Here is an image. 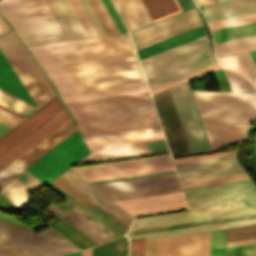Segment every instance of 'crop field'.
Wrapping results in <instances>:
<instances>
[{
    "mask_svg": "<svg viewBox=\"0 0 256 256\" xmlns=\"http://www.w3.org/2000/svg\"><path fill=\"white\" fill-rule=\"evenodd\" d=\"M29 48L59 93L145 81L128 33Z\"/></svg>",
    "mask_w": 256,
    "mask_h": 256,
    "instance_id": "1",
    "label": "crop field"
},
{
    "mask_svg": "<svg viewBox=\"0 0 256 256\" xmlns=\"http://www.w3.org/2000/svg\"><path fill=\"white\" fill-rule=\"evenodd\" d=\"M66 106L83 137L160 126L148 92Z\"/></svg>",
    "mask_w": 256,
    "mask_h": 256,
    "instance_id": "2",
    "label": "crop field"
},
{
    "mask_svg": "<svg viewBox=\"0 0 256 256\" xmlns=\"http://www.w3.org/2000/svg\"><path fill=\"white\" fill-rule=\"evenodd\" d=\"M0 88L37 107L56 95L12 32L0 37Z\"/></svg>",
    "mask_w": 256,
    "mask_h": 256,
    "instance_id": "3",
    "label": "crop field"
},
{
    "mask_svg": "<svg viewBox=\"0 0 256 256\" xmlns=\"http://www.w3.org/2000/svg\"><path fill=\"white\" fill-rule=\"evenodd\" d=\"M140 62L150 89L216 64L206 36Z\"/></svg>",
    "mask_w": 256,
    "mask_h": 256,
    "instance_id": "4",
    "label": "crop field"
},
{
    "mask_svg": "<svg viewBox=\"0 0 256 256\" xmlns=\"http://www.w3.org/2000/svg\"><path fill=\"white\" fill-rule=\"evenodd\" d=\"M191 212L138 218L130 230L256 212V191L187 201Z\"/></svg>",
    "mask_w": 256,
    "mask_h": 256,
    "instance_id": "5",
    "label": "crop field"
},
{
    "mask_svg": "<svg viewBox=\"0 0 256 256\" xmlns=\"http://www.w3.org/2000/svg\"><path fill=\"white\" fill-rule=\"evenodd\" d=\"M203 122L250 123L256 118V95L192 91Z\"/></svg>",
    "mask_w": 256,
    "mask_h": 256,
    "instance_id": "6",
    "label": "crop field"
},
{
    "mask_svg": "<svg viewBox=\"0 0 256 256\" xmlns=\"http://www.w3.org/2000/svg\"><path fill=\"white\" fill-rule=\"evenodd\" d=\"M31 230L0 219V246L29 256H57L78 250L50 228L38 235Z\"/></svg>",
    "mask_w": 256,
    "mask_h": 256,
    "instance_id": "7",
    "label": "crop field"
},
{
    "mask_svg": "<svg viewBox=\"0 0 256 256\" xmlns=\"http://www.w3.org/2000/svg\"><path fill=\"white\" fill-rule=\"evenodd\" d=\"M87 153L76 131L26 170L47 184Z\"/></svg>",
    "mask_w": 256,
    "mask_h": 256,
    "instance_id": "8",
    "label": "crop field"
},
{
    "mask_svg": "<svg viewBox=\"0 0 256 256\" xmlns=\"http://www.w3.org/2000/svg\"><path fill=\"white\" fill-rule=\"evenodd\" d=\"M93 186L112 201L182 191L176 174Z\"/></svg>",
    "mask_w": 256,
    "mask_h": 256,
    "instance_id": "9",
    "label": "crop field"
},
{
    "mask_svg": "<svg viewBox=\"0 0 256 256\" xmlns=\"http://www.w3.org/2000/svg\"><path fill=\"white\" fill-rule=\"evenodd\" d=\"M199 17L192 9L169 19L131 33L136 49L146 47L169 37L201 26Z\"/></svg>",
    "mask_w": 256,
    "mask_h": 256,
    "instance_id": "10",
    "label": "crop field"
},
{
    "mask_svg": "<svg viewBox=\"0 0 256 256\" xmlns=\"http://www.w3.org/2000/svg\"><path fill=\"white\" fill-rule=\"evenodd\" d=\"M170 91L191 152L210 151L187 83Z\"/></svg>",
    "mask_w": 256,
    "mask_h": 256,
    "instance_id": "11",
    "label": "crop field"
},
{
    "mask_svg": "<svg viewBox=\"0 0 256 256\" xmlns=\"http://www.w3.org/2000/svg\"><path fill=\"white\" fill-rule=\"evenodd\" d=\"M0 10L17 32L59 27L46 1L0 7Z\"/></svg>",
    "mask_w": 256,
    "mask_h": 256,
    "instance_id": "12",
    "label": "crop field"
},
{
    "mask_svg": "<svg viewBox=\"0 0 256 256\" xmlns=\"http://www.w3.org/2000/svg\"><path fill=\"white\" fill-rule=\"evenodd\" d=\"M63 109L55 97L2 136L0 138V157Z\"/></svg>",
    "mask_w": 256,
    "mask_h": 256,
    "instance_id": "13",
    "label": "crop field"
},
{
    "mask_svg": "<svg viewBox=\"0 0 256 256\" xmlns=\"http://www.w3.org/2000/svg\"><path fill=\"white\" fill-rule=\"evenodd\" d=\"M75 131L76 130L70 120L5 170H3L0 173V187L5 185Z\"/></svg>",
    "mask_w": 256,
    "mask_h": 256,
    "instance_id": "14",
    "label": "crop field"
},
{
    "mask_svg": "<svg viewBox=\"0 0 256 256\" xmlns=\"http://www.w3.org/2000/svg\"><path fill=\"white\" fill-rule=\"evenodd\" d=\"M157 256H209V232L157 238Z\"/></svg>",
    "mask_w": 256,
    "mask_h": 256,
    "instance_id": "15",
    "label": "crop field"
},
{
    "mask_svg": "<svg viewBox=\"0 0 256 256\" xmlns=\"http://www.w3.org/2000/svg\"><path fill=\"white\" fill-rule=\"evenodd\" d=\"M115 203L133 216L188 209L182 192Z\"/></svg>",
    "mask_w": 256,
    "mask_h": 256,
    "instance_id": "16",
    "label": "crop field"
},
{
    "mask_svg": "<svg viewBox=\"0 0 256 256\" xmlns=\"http://www.w3.org/2000/svg\"><path fill=\"white\" fill-rule=\"evenodd\" d=\"M175 165L181 180L242 172L234 156Z\"/></svg>",
    "mask_w": 256,
    "mask_h": 256,
    "instance_id": "17",
    "label": "crop field"
},
{
    "mask_svg": "<svg viewBox=\"0 0 256 256\" xmlns=\"http://www.w3.org/2000/svg\"><path fill=\"white\" fill-rule=\"evenodd\" d=\"M69 119L65 110L61 111L39 129H37L34 133L12 148L9 152L3 155L0 158V171L66 123Z\"/></svg>",
    "mask_w": 256,
    "mask_h": 256,
    "instance_id": "18",
    "label": "crop field"
},
{
    "mask_svg": "<svg viewBox=\"0 0 256 256\" xmlns=\"http://www.w3.org/2000/svg\"><path fill=\"white\" fill-rule=\"evenodd\" d=\"M173 164L169 155L71 169L81 177Z\"/></svg>",
    "mask_w": 256,
    "mask_h": 256,
    "instance_id": "19",
    "label": "crop field"
},
{
    "mask_svg": "<svg viewBox=\"0 0 256 256\" xmlns=\"http://www.w3.org/2000/svg\"><path fill=\"white\" fill-rule=\"evenodd\" d=\"M91 154L76 165L131 158L153 154L145 142L91 150ZM75 165V166H76Z\"/></svg>",
    "mask_w": 256,
    "mask_h": 256,
    "instance_id": "20",
    "label": "crop field"
},
{
    "mask_svg": "<svg viewBox=\"0 0 256 256\" xmlns=\"http://www.w3.org/2000/svg\"><path fill=\"white\" fill-rule=\"evenodd\" d=\"M145 82L60 94L64 103L145 92Z\"/></svg>",
    "mask_w": 256,
    "mask_h": 256,
    "instance_id": "21",
    "label": "crop field"
},
{
    "mask_svg": "<svg viewBox=\"0 0 256 256\" xmlns=\"http://www.w3.org/2000/svg\"><path fill=\"white\" fill-rule=\"evenodd\" d=\"M201 12L207 22L256 13V0H235L204 6Z\"/></svg>",
    "mask_w": 256,
    "mask_h": 256,
    "instance_id": "22",
    "label": "crop field"
},
{
    "mask_svg": "<svg viewBox=\"0 0 256 256\" xmlns=\"http://www.w3.org/2000/svg\"><path fill=\"white\" fill-rule=\"evenodd\" d=\"M183 190H184L186 199L190 200V199H197V198H204V197H211V196H218V195L254 191L256 190V188L254 187V185L250 180H246V181L223 183V184H216V185H209V186L186 188Z\"/></svg>",
    "mask_w": 256,
    "mask_h": 256,
    "instance_id": "23",
    "label": "crop field"
},
{
    "mask_svg": "<svg viewBox=\"0 0 256 256\" xmlns=\"http://www.w3.org/2000/svg\"><path fill=\"white\" fill-rule=\"evenodd\" d=\"M69 39L88 37L68 0H48Z\"/></svg>",
    "mask_w": 256,
    "mask_h": 256,
    "instance_id": "24",
    "label": "crop field"
},
{
    "mask_svg": "<svg viewBox=\"0 0 256 256\" xmlns=\"http://www.w3.org/2000/svg\"><path fill=\"white\" fill-rule=\"evenodd\" d=\"M211 148L240 140L248 124L203 123Z\"/></svg>",
    "mask_w": 256,
    "mask_h": 256,
    "instance_id": "25",
    "label": "crop field"
},
{
    "mask_svg": "<svg viewBox=\"0 0 256 256\" xmlns=\"http://www.w3.org/2000/svg\"><path fill=\"white\" fill-rule=\"evenodd\" d=\"M161 138H164L162 131L158 130V131L123 135V136L88 140V141H86V143H87L89 149H93V148L107 147V146H113V145L161 139Z\"/></svg>",
    "mask_w": 256,
    "mask_h": 256,
    "instance_id": "26",
    "label": "crop field"
},
{
    "mask_svg": "<svg viewBox=\"0 0 256 256\" xmlns=\"http://www.w3.org/2000/svg\"><path fill=\"white\" fill-rule=\"evenodd\" d=\"M205 35L203 26L193 29L191 31L185 32L183 34L177 35L170 39L164 40L162 42L156 43L154 45L148 46L146 48L138 50L139 59H143L159 53L161 51L167 50L179 44L185 43L197 37Z\"/></svg>",
    "mask_w": 256,
    "mask_h": 256,
    "instance_id": "27",
    "label": "crop field"
},
{
    "mask_svg": "<svg viewBox=\"0 0 256 256\" xmlns=\"http://www.w3.org/2000/svg\"><path fill=\"white\" fill-rule=\"evenodd\" d=\"M254 223H256V218L224 222V223L209 224V225H202V226H195V227H188V228L166 230V231H159V232H152V233L130 235V236H128V238L141 237V236L151 237V236L192 233V232L216 230V229H223V228H231V227L249 225V224H254Z\"/></svg>",
    "mask_w": 256,
    "mask_h": 256,
    "instance_id": "28",
    "label": "crop field"
},
{
    "mask_svg": "<svg viewBox=\"0 0 256 256\" xmlns=\"http://www.w3.org/2000/svg\"><path fill=\"white\" fill-rule=\"evenodd\" d=\"M62 175H64L66 178H68L70 181H72L74 184H76L78 187H80L82 190H84L86 193H88L90 196H92L94 199H96L98 202H100L102 205H104L126 223H128L129 225L131 224L133 220L131 216H129L127 213H125L123 210L113 204L110 200H108L106 197H104L102 194L92 188L89 184H87L73 172L67 170Z\"/></svg>",
    "mask_w": 256,
    "mask_h": 256,
    "instance_id": "29",
    "label": "crop field"
},
{
    "mask_svg": "<svg viewBox=\"0 0 256 256\" xmlns=\"http://www.w3.org/2000/svg\"><path fill=\"white\" fill-rule=\"evenodd\" d=\"M128 30L146 25L144 18L133 0H113Z\"/></svg>",
    "mask_w": 256,
    "mask_h": 256,
    "instance_id": "30",
    "label": "crop field"
},
{
    "mask_svg": "<svg viewBox=\"0 0 256 256\" xmlns=\"http://www.w3.org/2000/svg\"><path fill=\"white\" fill-rule=\"evenodd\" d=\"M153 22L181 12L176 0H141Z\"/></svg>",
    "mask_w": 256,
    "mask_h": 256,
    "instance_id": "31",
    "label": "crop field"
},
{
    "mask_svg": "<svg viewBox=\"0 0 256 256\" xmlns=\"http://www.w3.org/2000/svg\"><path fill=\"white\" fill-rule=\"evenodd\" d=\"M217 57L256 50V36L214 44Z\"/></svg>",
    "mask_w": 256,
    "mask_h": 256,
    "instance_id": "32",
    "label": "crop field"
},
{
    "mask_svg": "<svg viewBox=\"0 0 256 256\" xmlns=\"http://www.w3.org/2000/svg\"><path fill=\"white\" fill-rule=\"evenodd\" d=\"M26 45L67 40L61 28L19 33Z\"/></svg>",
    "mask_w": 256,
    "mask_h": 256,
    "instance_id": "33",
    "label": "crop field"
},
{
    "mask_svg": "<svg viewBox=\"0 0 256 256\" xmlns=\"http://www.w3.org/2000/svg\"><path fill=\"white\" fill-rule=\"evenodd\" d=\"M214 43L256 35V23L214 30Z\"/></svg>",
    "mask_w": 256,
    "mask_h": 256,
    "instance_id": "34",
    "label": "crop field"
},
{
    "mask_svg": "<svg viewBox=\"0 0 256 256\" xmlns=\"http://www.w3.org/2000/svg\"><path fill=\"white\" fill-rule=\"evenodd\" d=\"M92 256H128V239L123 236L92 249Z\"/></svg>",
    "mask_w": 256,
    "mask_h": 256,
    "instance_id": "35",
    "label": "crop field"
},
{
    "mask_svg": "<svg viewBox=\"0 0 256 256\" xmlns=\"http://www.w3.org/2000/svg\"><path fill=\"white\" fill-rule=\"evenodd\" d=\"M0 105L27 117L37 108L0 90Z\"/></svg>",
    "mask_w": 256,
    "mask_h": 256,
    "instance_id": "36",
    "label": "crop field"
},
{
    "mask_svg": "<svg viewBox=\"0 0 256 256\" xmlns=\"http://www.w3.org/2000/svg\"><path fill=\"white\" fill-rule=\"evenodd\" d=\"M252 217H256V213L255 214H248V215H241V216H234V217H226V218L205 220V221H197V222L176 224V225H168V226L147 228V229L132 230V231H129L127 235L137 234V233H144V232L159 231V230H166V229H173V228H180V227L202 225V224H209V223H216V222L238 220V219H245V218H252Z\"/></svg>",
    "mask_w": 256,
    "mask_h": 256,
    "instance_id": "37",
    "label": "crop field"
},
{
    "mask_svg": "<svg viewBox=\"0 0 256 256\" xmlns=\"http://www.w3.org/2000/svg\"><path fill=\"white\" fill-rule=\"evenodd\" d=\"M171 170H175L173 165L149 168V169H142V170H135V171H128V172L106 174V175H99V176H92V177H85L83 179H85L87 182H91V181H98V180H105V179H112V178H119V177H127V176H134V175H141V174H148V173H155V172L171 171Z\"/></svg>",
    "mask_w": 256,
    "mask_h": 256,
    "instance_id": "38",
    "label": "crop field"
},
{
    "mask_svg": "<svg viewBox=\"0 0 256 256\" xmlns=\"http://www.w3.org/2000/svg\"><path fill=\"white\" fill-rule=\"evenodd\" d=\"M0 193L21 210L28 204L30 200L33 199L11 182L2 188Z\"/></svg>",
    "mask_w": 256,
    "mask_h": 256,
    "instance_id": "39",
    "label": "crop field"
},
{
    "mask_svg": "<svg viewBox=\"0 0 256 256\" xmlns=\"http://www.w3.org/2000/svg\"><path fill=\"white\" fill-rule=\"evenodd\" d=\"M91 4L93 10L98 16L100 22L105 28L107 34L118 33L116 27L114 26L112 20L110 19L108 13L106 12L104 6L102 5L100 0H88Z\"/></svg>",
    "mask_w": 256,
    "mask_h": 256,
    "instance_id": "40",
    "label": "crop field"
},
{
    "mask_svg": "<svg viewBox=\"0 0 256 256\" xmlns=\"http://www.w3.org/2000/svg\"><path fill=\"white\" fill-rule=\"evenodd\" d=\"M11 182H13L15 185H17L26 193L44 186L43 183H41L39 180H37L34 176H32L27 171H24L23 173H21Z\"/></svg>",
    "mask_w": 256,
    "mask_h": 256,
    "instance_id": "41",
    "label": "crop field"
},
{
    "mask_svg": "<svg viewBox=\"0 0 256 256\" xmlns=\"http://www.w3.org/2000/svg\"><path fill=\"white\" fill-rule=\"evenodd\" d=\"M256 239V225L227 230V242Z\"/></svg>",
    "mask_w": 256,
    "mask_h": 256,
    "instance_id": "42",
    "label": "crop field"
},
{
    "mask_svg": "<svg viewBox=\"0 0 256 256\" xmlns=\"http://www.w3.org/2000/svg\"><path fill=\"white\" fill-rule=\"evenodd\" d=\"M210 256H225V230L210 232Z\"/></svg>",
    "mask_w": 256,
    "mask_h": 256,
    "instance_id": "43",
    "label": "crop field"
},
{
    "mask_svg": "<svg viewBox=\"0 0 256 256\" xmlns=\"http://www.w3.org/2000/svg\"><path fill=\"white\" fill-rule=\"evenodd\" d=\"M232 91H254L249 80L222 69Z\"/></svg>",
    "mask_w": 256,
    "mask_h": 256,
    "instance_id": "44",
    "label": "crop field"
},
{
    "mask_svg": "<svg viewBox=\"0 0 256 256\" xmlns=\"http://www.w3.org/2000/svg\"><path fill=\"white\" fill-rule=\"evenodd\" d=\"M218 59L223 66L250 78L239 54Z\"/></svg>",
    "mask_w": 256,
    "mask_h": 256,
    "instance_id": "45",
    "label": "crop field"
},
{
    "mask_svg": "<svg viewBox=\"0 0 256 256\" xmlns=\"http://www.w3.org/2000/svg\"><path fill=\"white\" fill-rule=\"evenodd\" d=\"M218 68H221V67L218 64H216L214 66H211V67H208V68L203 69L201 71H198V72H195L193 74L187 75L185 77H182L180 79L174 80V81L169 82L167 84H164V85H161L159 87L153 88V89L150 90V92H151V94H154L156 92L162 91L164 89H167V88L172 87L174 85L180 84L182 82H185V81L190 80L192 78L198 77L200 75H203V74L208 73L210 71L216 70Z\"/></svg>",
    "mask_w": 256,
    "mask_h": 256,
    "instance_id": "46",
    "label": "crop field"
},
{
    "mask_svg": "<svg viewBox=\"0 0 256 256\" xmlns=\"http://www.w3.org/2000/svg\"><path fill=\"white\" fill-rule=\"evenodd\" d=\"M53 182L56 183L58 186H60L62 189H64L66 192H68L70 195H72L74 198H76L89 209L97 206L89 199H87L85 196H83L81 193H79L77 190H75L73 187H71L69 184H67L65 181H63L61 178L58 177Z\"/></svg>",
    "mask_w": 256,
    "mask_h": 256,
    "instance_id": "47",
    "label": "crop field"
},
{
    "mask_svg": "<svg viewBox=\"0 0 256 256\" xmlns=\"http://www.w3.org/2000/svg\"><path fill=\"white\" fill-rule=\"evenodd\" d=\"M66 214L69 215L71 218H73L75 221H77L79 224H81L83 227H85L88 231H90L92 234H94L96 237H98L103 242L111 240L108 236H106L100 230H98L93 225H91L89 222L84 220L82 217H80L74 211L71 210Z\"/></svg>",
    "mask_w": 256,
    "mask_h": 256,
    "instance_id": "48",
    "label": "crop field"
},
{
    "mask_svg": "<svg viewBox=\"0 0 256 256\" xmlns=\"http://www.w3.org/2000/svg\"><path fill=\"white\" fill-rule=\"evenodd\" d=\"M84 9L86 15L88 16L90 22L92 23L94 29L96 30L98 36L105 35L106 32L102 27L101 23L99 22L97 16L95 15L94 11L92 10L90 4L87 0H78Z\"/></svg>",
    "mask_w": 256,
    "mask_h": 256,
    "instance_id": "49",
    "label": "crop field"
},
{
    "mask_svg": "<svg viewBox=\"0 0 256 256\" xmlns=\"http://www.w3.org/2000/svg\"><path fill=\"white\" fill-rule=\"evenodd\" d=\"M73 9L75 10L77 16L79 17L81 23L83 24L85 30L87 31L89 37L97 36L95 30L93 29L91 23L89 22L87 16L85 15L83 9L81 8L77 0H69Z\"/></svg>",
    "mask_w": 256,
    "mask_h": 256,
    "instance_id": "50",
    "label": "crop field"
},
{
    "mask_svg": "<svg viewBox=\"0 0 256 256\" xmlns=\"http://www.w3.org/2000/svg\"><path fill=\"white\" fill-rule=\"evenodd\" d=\"M227 256H256V245L227 247Z\"/></svg>",
    "mask_w": 256,
    "mask_h": 256,
    "instance_id": "51",
    "label": "crop field"
},
{
    "mask_svg": "<svg viewBox=\"0 0 256 256\" xmlns=\"http://www.w3.org/2000/svg\"><path fill=\"white\" fill-rule=\"evenodd\" d=\"M101 1L104 4L106 10L108 11L115 26L117 27L119 33L127 32L124 25L122 24L120 18L118 17L116 11L114 10L113 6L111 5L110 1L109 0H101Z\"/></svg>",
    "mask_w": 256,
    "mask_h": 256,
    "instance_id": "52",
    "label": "crop field"
},
{
    "mask_svg": "<svg viewBox=\"0 0 256 256\" xmlns=\"http://www.w3.org/2000/svg\"><path fill=\"white\" fill-rule=\"evenodd\" d=\"M130 256H145V239L130 240Z\"/></svg>",
    "mask_w": 256,
    "mask_h": 256,
    "instance_id": "53",
    "label": "crop field"
},
{
    "mask_svg": "<svg viewBox=\"0 0 256 256\" xmlns=\"http://www.w3.org/2000/svg\"><path fill=\"white\" fill-rule=\"evenodd\" d=\"M256 88V66L249 52L240 54Z\"/></svg>",
    "mask_w": 256,
    "mask_h": 256,
    "instance_id": "54",
    "label": "crop field"
},
{
    "mask_svg": "<svg viewBox=\"0 0 256 256\" xmlns=\"http://www.w3.org/2000/svg\"><path fill=\"white\" fill-rule=\"evenodd\" d=\"M244 176H246L244 173H240V174H232V175H224V176H216V177H208V178L184 180V181H181V184H182V185H185V184L200 183V182H207V181H214V180H222V179H229V178H236V177H244Z\"/></svg>",
    "mask_w": 256,
    "mask_h": 256,
    "instance_id": "55",
    "label": "crop field"
},
{
    "mask_svg": "<svg viewBox=\"0 0 256 256\" xmlns=\"http://www.w3.org/2000/svg\"><path fill=\"white\" fill-rule=\"evenodd\" d=\"M21 119L3 111L0 109V123L12 128L15 126Z\"/></svg>",
    "mask_w": 256,
    "mask_h": 256,
    "instance_id": "56",
    "label": "crop field"
},
{
    "mask_svg": "<svg viewBox=\"0 0 256 256\" xmlns=\"http://www.w3.org/2000/svg\"><path fill=\"white\" fill-rule=\"evenodd\" d=\"M234 152L235 151L225 152V153H218V154H211V155H204V156H197V157H190V158H183V159H176V160H173V161H174V163H178V162H186V161H193V160L223 157V156H231V155H234Z\"/></svg>",
    "mask_w": 256,
    "mask_h": 256,
    "instance_id": "57",
    "label": "crop field"
},
{
    "mask_svg": "<svg viewBox=\"0 0 256 256\" xmlns=\"http://www.w3.org/2000/svg\"><path fill=\"white\" fill-rule=\"evenodd\" d=\"M67 221H69L71 224H73L75 227H77L79 230H81L83 233H85L87 236H89L91 239H93L98 244L102 243L98 238H96L94 235H92L90 232H88L86 229H84L81 225H79L77 222H75L73 219H71L66 214L62 216Z\"/></svg>",
    "mask_w": 256,
    "mask_h": 256,
    "instance_id": "58",
    "label": "crop field"
},
{
    "mask_svg": "<svg viewBox=\"0 0 256 256\" xmlns=\"http://www.w3.org/2000/svg\"><path fill=\"white\" fill-rule=\"evenodd\" d=\"M146 256H156V238L146 239Z\"/></svg>",
    "mask_w": 256,
    "mask_h": 256,
    "instance_id": "59",
    "label": "crop field"
},
{
    "mask_svg": "<svg viewBox=\"0 0 256 256\" xmlns=\"http://www.w3.org/2000/svg\"><path fill=\"white\" fill-rule=\"evenodd\" d=\"M255 17H256V14H251V15H246V16H241V17H236V18H230V19L210 22L209 24H210V26H213V25L224 24V23L245 20V19H250V18H255Z\"/></svg>",
    "mask_w": 256,
    "mask_h": 256,
    "instance_id": "60",
    "label": "crop field"
},
{
    "mask_svg": "<svg viewBox=\"0 0 256 256\" xmlns=\"http://www.w3.org/2000/svg\"><path fill=\"white\" fill-rule=\"evenodd\" d=\"M161 129L160 127L157 128H150V129H143V130H136V131H129V132H122V133H114V134H107V135H100V136H93V137H86L84 140L88 139H95V138H102V137H109V136H116V135H123V134H130V133H137V132H144V131H151V130H158Z\"/></svg>",
    "mask_w": 256,
    "mask_h": 256,
    "instance_id": "61",
    "label": "crop field"
},
{
    "mask_svg": "<svg viewBox=\"0 0 256 256\" xmlns=\"http://www.w3.org/2000/svg\"><path fill=\"white\" fill-rule=\"evenodd\" d=\"M35 1H42V0H1L0 1V6H7V5H14V4L28 3V2H35Z\"/></svg>",
    "mask_w": 256,
    "mask_h": 256,
    "instance_id": "62",
    "label": "crop field"
},
{
    "mask_svg": "<svg viewBox=\"0 0 256 256\" xmlns=\"http://www.w3.org/2000/svg\"><path fill=\"white\" fill-rule=\"evenodd\" d=\"M246 179H248V177L237 178V179H229V180H222V181H215V182L200 183V184H193V185H185V186H182V187L186 188V187H194V186L209 185V184L231 182V181H238V180H246Z\"/></svg>",
    "mask_w": 256,
    "mask_h": 256,
    "instance_id": "63",
    "label": "crop field"
},
{
    "mask_svg": "<svg viewBox=\"0 0 256 256\" xmlns=\"http://www.w3.org/2000/svg\"><path fill=\"white\" fill-rule=\"evenodd\" d=\"M251 22H256V18L255 19H250V20H245V21H239V22L224 24V25L213 26V27H211V29L214 30V29L225 28V27H230V26H235V25H240V24H246V23H251Z\"/></svg>",
    "mask_w": 256,
    "mask_h": 256,
    "instance_id": "64",
    "label": "crop field"
},
{
    "mask_svg": "<svg viewBox=\"0 0 256 256\" xmlns=\"http://www.w3.org/2000/svg\"><path fill=\"white\" fill-rule=\"evenodd\" d=\"M134 1L137 4L139 10L141 11L143 17L145 18L147 24L152 23V20H151L150 16L148 15L146 9L144 8L143 4L141 3V1L140 0H134Z\"/></svg>",
    "mask_w": 256,
    "mask_h": 256,
    "instance_id": "65",
    "label": "crop field"
},
{
    "mask_svg": "<svg viewBox=\"0 0 256 256\" xmlns=\"http://www.w3.org/2000/svg\"><path fill=\"white\" fill-rule=\"evenodd\" d=\"M177 2L180 5L182 11L193 7L190 0H177Z\"/></svg>",
    "mask_w": 256,
    "mask_h": 256,
    "instance_id": "66",
    "label": "crop field"
},
{
    "mask_svg": "<svg viewBox=\"0 0 256 256\" xmlns=\"http://www.w3.org/2000/svg\"><path fill=\"white\" fill-rule=\"evenodd\" d=\"M0 255L1 256H24V255H21L6 249H2V248H0Z\"/></svg>",
    "mask_w": 256,
    "mask_h": 256,
    "instance_id": "67",
    "label": "crop field"
},
{
    "mask_svg": "<svg viewBox=\"0 0 256 256\" xmlns=\"http://www.w3.org/2000/svg\"><path fill=\"white\" fill-rule=\"evenodd\" d=\"M244 244H256V241L232 242V243H227V246L244 245Z\"/></svg>",
    "mask_w": 256,
    "mask_h": 256,
    "instance_id": "68",
    "label": "crop field"
},
{
    "mask_svg": "<svg viewBox=\"0 0 256 256\" xmlns=\"http://www.w3.org/2000/svg\"><path fill=\"white\" fill-rule=\"evenodd\" d=\"M8 26L4 23V21L0 18V34L7 32Z\"/></svg>",
    "mask_w": 256,
    "mask_h": 256,
    "instance_id": "69",
    "label": "crop field"
},
{
    "mask_svg": "<svg viewBox=\"0 0 256 256\" xmlns=\"http://www.w3.org/2000/svg\"><path fill=\"white\" fill-rule=\"evenodd\" d=\"M197 5H202V4H208V3H214L215 0H195Z\"/></svg>",
    "mask_w": 256,
    "mask_h": 256,
    "instance_id": "70",
    "label": "crop field"
},
{
    "mask_svg": "<svg viewBox=\"0 0 256 256\" xmlns=\"http://www.w3.org/2000/svg\"><path fill=\"white\" fill-rule=\"evenodd\" d=\"M8 130H9V128H7V127H5V126L0 124V136L2 134H4L5 132H7Z\"/></svg>",
    "mask_w": 256,
    "mask_h": 256,
    "instance_id": "71",
    "label": "crop field"
},
{
    "mask_svg": "<svg viewBox=\"0 0 256 256\" xmlns=\"http://www.w3.org/2000/svg\"><path fill=\"white\" fill-rule=\"evenodd\" d=\"M0 108L3 109V110H5V111H7V112H9V113H11V114H13V115H15V116H17V117H19V118H21V119L24 118V117H22V116H20V115H18V114H16V113H14V112H12V111H10V110L4 108V107H2V106H0Z\"/></svg>",
    "mask_w": 256,
    "mask_h": 256,
    "instance_id": "72",
    "label": "crop field"
},
{
    "mask_svg": "<svg viewBox=\"0 0 256 256\" xmlns=\"http://www.w3.org/2000/svg\"><path fill=\"white\" fill-rule=\"evenodd\" d=\"M82 256H91V249L82 251Z\"/></svg>",
    "mask_w": 256,
    "mask_h": 256,
    "instance_id": "73",
    "label": "crop field"
},
{
    "mask_svg": "<svg viewBox=\"0 0 256 256\" xmlns=\"http://www.w3.org/2000/svg\"><path fill=\"white\" fill-rule=\"evenodd\" d=\"M64 256H81V251L75 252V253L66 254Z\"/></svg>",
    "mask_w": 256,
    "mask_h": 256,
    "instance_id": "74",
    "label": "crop field"
},
{
    "mask_svg": "<svg viewBox=\"0 0 256 256\" xmlns=\"http://www.w3.org/2000/svg\"><path fill=\"white\" fill-rule=\"evenodd\" d=\"M49 208H51V209H53L54 211H56L57 213H59V214H64L63 212H61L59 209H57L55 206H53L52 204H51V206L49 207Z\"/></svg>",
    "mask_w": 256,
    "mask_h": 256,
    "instance_id": "75",
    "label": "crop field"
},
{
    "mask_svg": "<svg viewBox=\"0 0 256 256\" xmlns=\"http://www.w3.org/2000/svg\"><path fill=\"white\" fill-rule=\"evenodd\" d=\"M251 53V55H252V57H253V59H254V62H255V64H256V51H252V52H250Z\"/></svg>",
    "mask_w": 256,
    "mask_h": 256,
    "instance_id": "76",
    "label": "crop field"
},
{
    "mask_svg": "<svg viewBox=\"0 0 256 256\" xmlns=\"http://www.w3.org/2000/svg\"><path fill=\"white\" fill-rule=\"evenodd\" d=\"M221 1H226V0H218V2H221Z\"/></svg>",
    "mask_w": 256,
    "mask_h": 256,
    "instance_id": "77",
    "label": "crop field"
},
{
    "mask_svg": "<svg viewBox=\"0 0 256 256\" xmlns=\"http://www.w3.org/2000/svg\"><path fill=\"white\" fill-rule=\"evenodd\" d=\"M61 256H63V255H61Z\"/></svg>",
    "mask_w": 256,
    "mask_h": 256,
    "instance_id": "78",
    "label": "crop field"
}]
</instances>
